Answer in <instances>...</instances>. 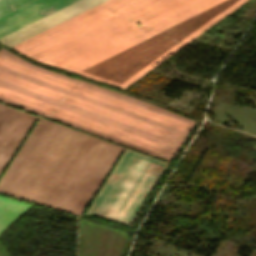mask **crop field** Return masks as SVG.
I'll use <instances>...</instances> for the list:
<instances>
[{
	"mask_svg": "<svg viewBox=\"0 0 256 256\" xmlns=\"http://www.w3.org/2000/svg\"><path fill=\"white\" fill-rule=\"evenodd\" d=\"M246 0H107L12 48L124 88Z\"/></svg>",
	"mask_w": 256,
	"mask_h": 256,
	"instance_id": "obj_1",
	"label": "crop field"
},
{
	"mask_svg": "<svg viewBox=\"0 0 256 256\" xmlns=\"http://www.w3.org/2000/svg\"><path fill=\"white\" fill-rule=\"evenodd\" d=\"M0 100L171 161L194 121L0 49Z\"/></svg>",
	"mask_w": 256,
	"mask_h": 256,
	"instance_id": "obj_2",
	"label": "crop field"
},
{
	"mask_svg": "<svg viewBox=\"0 0 256 256\" xmlns=\"http://www.w3.org/2000/svg\"><path fill=\"white\" fill-rule=\"evenodd\" d=\"M39 120L0 192L80 216L123 147Z\"/></svg>",
	"mask_w": 256,
	"mask_h": 256,
	"instance_id": "obj_3",
	"label": "crop field"
},
{
	"mask_svg": "<svg viewBox=\"0 0 256 256\" xmlns=\"http://www.w3.org/2000/svg\"><path fill=\"white\" fill-rule=\"evenodd\" d=\"M125 150L87 214L131 226L168 163Z\"/></svg>",
	"mask_w": 256,
	"mask_h": 256,
	"instance_id": "obj_4",
	"label": "crop field"
},
{
	"mask_svg": "<svg viewBox=\"0 0 256 256\" xmlns=\"http://www.w3.org/2000/svg\"><path fill=\"white\" fill-rule=\"evenodd\" d=\"M76 0H23L0 11V38Z\"/></svg>",
	"mask_w": 256,
	"mask_h": 256,
	"instance_id": "obj_5",
	"label": "crop field"
},
{
	"mask_svg": "<svg viewBox=\"0 0 256 256\" xmlns=\"http://www.w3.org/2000/svg\"><path fill=\"white\" fill-rule=\"evenodd\" d=\"M36 119L38 117L13 108L9 112L0 126V173Z\"/></svg>",
	"mask_w": 256,
	"mask_h": 256,
	"instance_id": "obj_6",
	"label": "crop field"
},
{
	"mask_svg": "<svg viewBox=\"0 0 256 256\" xmlns=\"http://www.w3.org/2000/svg\"><path fill=\"white\" fill-rule=\"evenodd\" d=\"M105 0H79L73 4H70L2 39L0 42L11 47L47 28H50L86 9H89Z\"/></svg>",
	"mask_w": 256,
	"mask_h": 256,
	"instance_id": "obj_7",
	"label": "crop field"
},
{
	"mask_svg": "<svg viewBox=\"0 0 256 256\" xmlns=\"http://www.w3.org/2000/svg\"><path fill=\"white\" fill-rule=\"evenodd\" d=\"M30 207V205L0 197V233Z\"/></svg>",
	"mask_w": 256,
	"mask_h": 256,
	"instance_id": "obj_8",
	"label": "crop field"
},
{
	"mask_svg": "<svg viewBox=\"0 0 256 256\" xmlns=\"http://www.w3.org/2000/svg\"><path fill=\"white\" fill-rule=\"evenodd\" d=\"M9 110H10V107L0 104V124L8 114Z\"/></svg>",
	"mask_w": 256,
	"mask_h": 256,
	"instance_id": "obj_9",
	"label": "crop field"
},
{
	"mask_svg": "<svg viewBox=\"0 0 256 256\" xmlns=\"http://www.w3.org/2000/svg\"><path fill=\"white\" fill-rule=\"evenodd\" d=\"M20 0H0V10Z\"/></svg>",
	"mask_w": 256,
	"mask_h": 256,
	"instance_id": "obj_10",
	"label": "crop field"
}]
</instances>
